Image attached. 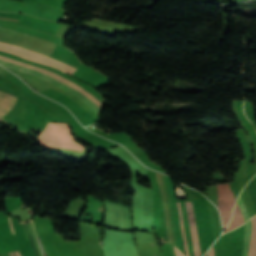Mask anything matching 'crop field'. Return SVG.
Returning a JSON list of instances; mask_svg holds the SVG:
<instances>
[{
	"mask_svg": "<svg viewBox=\"0 0 256 256\" xmlns=\"http://www.w3.org/2000/svg\"><path fill=\"white\" fill-rule=\"evenodd\" d=\"M251 220H252V232H251L248 256H256V215L252 217Z\"/></svg>",
	"mask_w": 256,
	"mask_h": 256,
	"instance_id": "obj_9",
	"label": "crop field"
},
{
	"mask_svg": "<svg viewBox=\"0 0 256 256\" xmlns=\"http://www.w3.org/2000/svg\"><path fill=\"white\" fill-rule=\"evenodd\" d=\"M0 47L1 48H4V49H8V50H12V51H15V52H19V53H22V54H25L27 56H30V57H33V58H36V59H39L41 61H44V62H47L49 64H52V65H55L57 67H60V68H63V69H66L70 72H72L73 70H75V68L71 67V66H68L66 64H63L59 61H56L52 58H49V57H46V56H43V55H40V54H37V53H34V52H31V51H28V50H25V49H22V48H18V47H14V46H11V45H7V44H3V43H0ZM4 49H0V51H3V52H7V53H11V54H15L21 58H25V59H28V60H32V61H36V62H39V63H43V64H46V65H49L47 63H44V62H41L39 60H36V59H33V58H30V57H27L25 55H22V54H19V53H15V52H11V51H8V50H4ZM50 65V66H52ZM53 66V67H55ZM55 67V68H57ZM58 68V69H60ZM63 69H60L64 72H67ZM69 73V72H67Z\"/></svg>",
	"mask_w": 256,
	"mask_h": 256,
	"instance_id": "obj_4",
	"label": "crop field"
},
{
	"mask_svg": "<svg viewBox=\"0 0 256 256\" xmlns=\"http://www.w3.org/2000/svg\"><path fill=\"white\" fill-rule=\"evenodd\" d=\"M12 234H13V236H14V233H12ZM14 238H15V236H14ZM15 240H16V238H15ZM16 242H17V240H16ZM17 245H18V243H17ZM18 248L20 249L19 245H18Z\"/></svg>",
	"mask_w": 256,
	"mask_h": 256,
	"instance_id": "obj_14",
	"label": "crop field"
},
{
	"mask_svg": "<svg viewBox=\"0 0 256 256\" xmlns=\"http://www.w3.org/2000/svg\"><path fill=\"white\" fill-rule=\"evenodd\" d=\"M237 202H238V204H239V206H240V208H241V211H242V213H243L244 222H246V221H247L248 219H250V218H249V216H248V214H247V212H246V208H245L244 202H243V200H242V198H241L240 195H239V197H238V199H237Z\"/></svg>",
	"mask_w": 256,
	"mask_h": 256,
	"instance_id": "obj_11",
	"label": "crop field"
},
{
	"mask_svg": "<svg viewBox=\"0 0 256 256\" xmlns=\"http://www.w3.org/2000/svg\"><path fill=\"white\" fill-rule=\"evenodd\" d=\"M180 204H181V208H182V214H183L184 225H185V230H186V235H187V241H188V246H189V252H190V256H193V255H194V252H193L192 241H191V236H190V231H189V226H188V221H187V215H186L185 205H184V202H182V203H180ZM180 204L178 203V210H179V217H180V224H181L182 236H183V241H184V249H185L186 256H189L188 246H187V241H186V235H185V230H184V225H183V219H182ZM200 254H201V250L199 249L198 252H197L194 256H199Z\"/></svg>",
	"mask_w": 256,
	"mask_h": 256,
	"instance_id": "obj_6",
	"label": "crop field"
},
{
	"mask_svg": "<svg viewBox=\"0 0 256 256\" xmlns=\"http://www.w3.org/2000/svg\"><path fill=\"white\" fill-rule=\"evenodd\" d=\"M16 101V97L0 91V116L3 117L12 109Z\"/></svg>",
	"mask_w": 256,
	"mask_h": 256,
	"instance_id": "obj_7",
	"label": "crop field"
},
{
	"mask_svg": "<svg viewBox=\"0 0 256 256\" xmlns=\"http://www.w3.org/2000/svg\"><path fill=\"white\" fill-rule=\"evenodd\" d=\"M15 254H16V256H20V254L18 253V251H15ZM10 256H15V255H14V253L12 252V253H10Z\"/></svg>",
	"mask_w": 256,
	"mask_h": 256,
	"instance_id": "obj_13",
	"label": "crop field"
},
{
	"mask_svg": "<svg viewBox=\"0 0 256 256\" xmlns=\"http://www.w3.org/2000/svg\"><path fill=\"white\" fill-rule=\"evenodd\" d=\"M19 25L38 29L53 34L55 36L63 26L62 24L59 23L49 22L46 20L34 18L29 15H25Z\"/></svg>",
	"mask_w": 256,
	"mask_h": 256,
	"instance_id": "obj_5",
	"label": "crop field"
},
{
	"mask_svg": "<svg viewBox=\"0 0 256 256\" xmlns=\"http://www.w3.org/2000/svg\"><path fill=\"white\" fill-rule=\"evenodd\" d=\"M238 207H239V206H238ZM238 207H237V203H236L235 209H234V212H233V217H232V219H231L229 225L227 226L225 232H227V231H229V230H231V229H234V228H236V227H238V226L244 224V223H243L242 216H241V214H240V211H239ZM225 232H224V233H225Z\"/></svg>",
	"mask_w": 256,
	"mask_h": 256,
	"instance_id": "obj_8",
	"label": "crop field"
},
{
	"mask_svg": "<svg viewBox=\"0 0 256 256\" xmlns=\"http://www.w3.org/2000/svg\"><path fill=\"white\" fill-rule=\"evenodd\" d=\"M0 61H2V62H7V63H11V64H15V65H17V66L23 67V68L28 69V70H30V71L36 72V73H38V74H41V75L50 77V78H52V79H54V80H56V81H58V82H60V83H62V84H64V85L68 86L69 88L73 89L74 91L78 92V93L81 94L83 97H85L89 102H91L95 107H97L99 110L101 109V106H102V105H100V104H101V101L98 100V99H97L94 95H92L89 91H87V90L84 89L83 87H81V86H79V85H77V84H75V83H72V82H70V81H68V80H66V79H64V78H62V77H60V76H58V75H56V74L50 72V71H47V70H45V69H42V68H39V67H36V66L29 65V64H26V63H23V62H20V61H16V60H13V59H10V58H7V57H3V56H0ZM2 62H0L1 65H4V66L10 67V68H13V69H15V70H18V71L27 73V74L32 75V76H35V77H38V78H40V79H42V80H44V81H47V82H49V83H51V84H53V85H55V86H57V87H60V88H62V89H64V90H66V91L72 93L73 95H75L76 97H78L81 101H83V102H84L89 108H91L95 113L98 114V113L100 112V111H99L98 109H96L91 103H89L85 98H83L81 95L77 94V93L74 92L73 90L67 88L66 86H64V85H62V84H60V83H58V82H56V81H54V80H52V79H50V78H47V77L38 75V74H36V73L30 72V71H28V70H25V69H23V68L17 67V66H15V65L7 64V63H2ZM81 88H83V89H81ZM80 89H81L82 91H84L86 94H88L89 96H91L93 99H95V100H96L97 102H99L100 104L97 103V102H96L95 100H93L92 98H90L88 95H86V94H85L84 92H82Z\"/></svg>",
	"mask_w": 256,
	"mask_h": 256,
	"instance_id": "obj_2",
	"label": "crop field"
},
{
	"mask_svg": "<svg viewBox=\"0 0 256 256\" xmlns=\"http://www.w3.org/2000/svg\"><path fill=\"white\" fill-rule=\"evenodd\" d=\"M159 190L164 218V226L166 237L164 240L166 242L174 243V245L183 252L179 218L176 206V198L172 189L171 179L157 172ZM177 249L178 256H185ZM175 253L176 249L174 247ZM174 253V254H175ZM184 253V252H183ZM177 256V253H176Z\"/></svg>",
	"mask_w": 256,
	"mask_h": 256,
	"instance_id": "obj_1",
	"label": "crop field"
},
{
	"mask_svg": "<svg viewBox=\"0 0 256 256\" xmlns=\"http://www.w3.org/2000/svg\"><path fill=\"white\" fill-rule=\"evenodd\" d=\"M40 136L74 139L69 134L67 124L63 123H48L46 129ZM47 137H39L43 147L46 149L82 152L83 145L76 143L74 140Z\"/></svg>",
	"mask_w": 256,
	"mask_h": 256,
	"instance_id": "obj_3",
	"label": "crop field"
},
{
	"mask_svg": "<svg viewBox=\"0 0 256 256\" xmlns=\"http://www.w3.org/2000/svg\"><path fill=\"white\" fill-rule=\"evenodd\" d=\"M250 231H251V220H249L244 224L245 246H244L243 256H247L248 254Z\"/></svg>",
	"mask_w": 256,
	"mask_h": 256,
	"instance_id": "obj_10",
	"label": "crop field"
},
{
	"mask_svg": "<svg viewBox=\"0 0 256 256\" xmlns=\"http://www.w3.org/2000/svg\"><path fill=\"white\" fill-rule=\"evenodd\" d=\"M207 256V255H206ZM208 256H211V251L208 252ZM212 256H214V246L212 247Z\"/></svg>",
	"mask_w": 256,
	"mask_h": 256,
	"instance_id": "obj_12",
	"label": "crop field"
}]
</instances>
